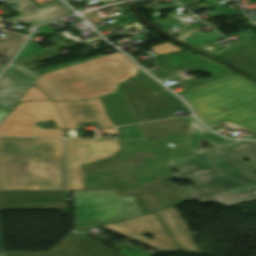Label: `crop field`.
I'll return each instance as SVG.
<instances>
[{
  "label": "crop field",
  "mask_w": 256,
  "mask_h": 256,
  "mask_svg": "<svg viewBox=\"0 0 256 256\" xmlns=\"http://www.w3.org/2000/svg\"><path fill=\"white\" fill-rule=\"evenodd\" d=\"M139 126L145 140H122L125 149L120 154L84 166L87 189L113 188L120 194L130 193L159 177L171 176L167 160L190 153V144L184 149L183 145L171 149L164 144L188 142V117Z\"/></svg>",
  "instance_id": "8a807250"
},
{
  "label": "crop field",
  "mask_w": 256,
  "mask_h": 256,
  "mask_svg": "<svg viewBox=\"0 0 256 256\" xmlns=\"http://www.w3.org/2000/svg\"><path fill=\"white\" fill-rule=\"evenodd\" d=\"M66 190L63 139L0 137V191Z\"/></svg>",
  "instance_id": "ac0d7876"
},
{
  "label": "crop field",
  "mask_w": 256,
  "mask_h": 256,
  "mask_svg": "<svg viewBox=\"0 0 256 256\" xmlns=\"http://www.w3.org/2000/svg\"><path fill=\"white\" fill-rule=\"evenodd\" d=\"M136 66L120 52L42 75L34 84L55 101H77L115 92L135 76Z\"/></svg>",
  "instance_id": "34b2d1b8"
},
{
  "label": "crop field",
  "mask_w": 256,
  "mask_h": 256,
  "mask_svg": "<svg viewBox=\"0 0 256 256\" xmlns=\"http://www.w3.org/2000/svg\"><path fill=\"white\" fill-rule=\"evenodd\" d=\"M182 97L211 129L229 122L256 133V85L236 74L194 89Z\"/></svg>",
  "instance_id": "412701ff"
},
{
  "label": "crop field",
  "mask_w": 256,
  "mask_h": 256,
  "mask_svg": "<svg viewBox=\"0 0 256 256\" xmlns=\"http://www.w3.org/2000/svg\"><path fill=\"white\" fill-rule=\"evenodd\" d=\"M240 142L242 141L224 144L168 161L171 168L182 170L174 173L176 179L188 180L195 184L179 187L185 202L201 201L250 188L221 174L210 161L212 158L226 154L223 150L224 147ZM212 150L217 153L212 154Z\"/></svg>",
  "instance_id": "f4fd0767"
},
{
  "label": "crop field",
  "mask_w": 256,
  "mask_h": 256,
  "mask_svg": "<svg viewBox=\"0 0 256 256\" xmlns=\"http://www.w3.org/2000/svg\"><path fill=\"white\" fill-rule=\"evenodd\" d=\"M117 197L118 200L114 201ZM76 229L125 220L142 213L133 197H120L112 190L72 192ZM97 220L98 223L93 222Z\"/></svg>",
  "instance_id": "dd49c442"
},
{
  "label": "crop field",
  "mask_w": 256,
  "mask_h": 256,
  "mask_svg": "<svg viewBox=\"0 0 256 256\" xmlns=\"http://www.w3.org/2000/svg\"><path fill=\"white\" fill-rule=\"evenodd\" d=\"M120 89L137 122L172 118L171 110L186 108L141 69L136 78L120 84Z\"/></svg>",
  "instance_id": "e52e79f7"
},
{
  "label": "crop field",
  "mask_w": 256,
  "mask_h": 256,
  "mask_svg": "<svg viewBox=\"0 0 256 256\" xmlns=\"http://www.w3.org/2000/svg\"><path fill=\"white\" fill-rule=\"evenodd\" d=\"M52 120L57 127L65 128L53 102H24L7 115L0 124V135L63 137L62 130H43L35 122Z\"/></svg>",
  "instance_id": "d8731c3e"
},
{
  "label": "crop field",
  "mask_w": 256,
  "mask_h": 256,
  "mask_svg": "<svg viewBox=\"0 0 256 256\" xmlns=\"http://www.w3.org/2000/svg\"><path fill=\"white\" fill-rule=\"evenodd\" d=\"M67 164L69 190L84 189L82 164L91 163L118 153V140L68 139Z\"/></svg>",
  "instance_id": "5a996713"
},
{
  "label": "crop field",
  "mask_w": 256,
  "mask_h": 256,
  "mask_svg": "<svg viewBox=\"0 0 256 256\" xmlns=\"http://www.w3.org/2000/svg\"><path fill=\"white\" fill-rule=\"evenodd\" d=\"M107 229L144 243L160 252L179 251L155 213L104 225ZM148 233L154 236L151 240L145 236Z\"/></svg>",
  "instance_id": "3316defc"
},
{
  "label": "crop field",
  "mask_w": 256,
  "mask_h": 256,
  "mask_svg": "<svg viewBox=\"0 0 256 256\" xmlns=\"http://www.w3.org/2000/svg\"><path fill=\"white\" fill-rule=\"evenodd\" d=\"M153 62H155L161 68L160 70L154 69L152 71H149V73L159 79L175 75V73H173L172 71L179 68H190L193 70L203 69L205 73H208L212 76L211 79L195 78L191 80L186 84V87L190 90L233 74L232 71L226 68H223L215 63H212L206 59L190 54L188 52H180L177 54L166 55L159 59L153 60Z\"/></svg>",
  "instance_id": "28ad6ade"
},
{
  "label": "crop field",
  "mask_w": 256,
  "mask_h": 256,
  "mask_svg": "<svg viewBox=\"0 0 256 256\" xmlns=\"http://www.w3.org/2000/svg\"><path fill=\"white\" fill-rule=\"evenodd\" d=\"M230 154L213 160L220 171L248 186L256 187V144L245 142L226 149ZM241 158L252 160L245 163Z\"/></svg>",
  "instance_id": "d1516ede"
},
{
  "label": "crop field",
  "mask_w": 256,
  "mask_h": 256,
  "mask_svg": "<svg viewBox=\"0 0 256 256\" xmlns=\"http://www.w3.org/2000/svg\"><path fill=\"white\" fill-rule=\"evenodd\" d=\"M172 179L173 176L159 178L134 191L144 214L182 205L179 188L169 183Z\"/></svg>",
  "instance_id": "22f410ed"
},
{
  "label": "crop field",
  "mask_w": 256,
  "mask_h": 256,
  "mask_svg": "<svg viewBox=\"0 0 256 256\" xmlns=\"http://www.w3.org/2000/svg\"><path fill=\"white\" fill-rule=\"evenodd\" d=\"M6 256H115L114 250L91 240L86 234H69L51 252H5Z\"/></svg>",
  "instance_id": "cbeb9de0"
},
{
  "label": "crop field",
  "mask_w": 256,
  "mask_h": 256,
  "mask_svg": "<svg viewBox=\"0 0 256 256\" xmlns=\"http://www.w3.org/2000/svg\"><path fill=\"white\" fill-rule=\"evenodd\" d=\"M0 209H66V192H0Z\"/></svg>",
  "instance_id": "5142ce71"
},
{
  "label": "crop field",
  "mask_w": 256,
  "mask_h": 256,
  "mask_svg": "<svg viewBox=\"0 0 256 256\" xmlns=\"http://www.w3.org/2000/svg\"><path fill=\"white\" fill-rule=\"evenodd\" d=\"M40 75L14 64L0 77V107L11 109Z\"/></svg>",
  "instance_id": "d9b57169"
},
{
  "label": "crop field",
  "mask_w": 256,
  "mask_h": 256,
  "mask_svg": "<svg viewBox=\"0 0 256 256\" xmlns=\"http://www.w3.org/2000/svg\"><path fill=\"white\" fill-rule=\"evenodd\" d=\"M54 105L66 128H78V122L99 121L101 127L113 126L108 120L99 98Z\"/></svg>",
  "instance_id": "733c2abd"
},
{
  "label": "crop field",
  "mask_w": 256,
  "mask_h": 256,
  "mask_svg": "<svg viewBox=\"0 0 256 256\" xmlns=\"http://www.w3.org/2000/svg\"><path fill=\"white\" fill-rule=\"evenodd\" d=\"M157 215L176 242L181 252L200 253V250L193 241L191 232L175 210L169 209L157 212Z\"/></svg>",
  "instance_id": "4a817a6b"
},
{
  "label": "crop field",
  "mask_w": 256,
  "mask_h": 256,
  "mask_svg": "<svg viewBox=\"0 0 256 256\" xmlns=\"http://www.w3.org/2000/svg\"><path fill=\"white\" fill-rule=\"evenodd\" d=\"M71 11L65 7L62 3L53 5L40 10L32 11L29 13L21 14L12 18L9 21L19 22V23H29L31 25H37L45 21L53 20L65 15L70 14Z\"/></svg>",
  "instance_id": "bc2a9ffb"
},
{
  "label": "crop field",
  "mask_w": 256,
  "mask_h": 256,
  "mask_svg": "<svg viewBox=\"0 0 256 256\" xmlns=\"http://www.w3.org/2000/svg\"><path fill=\"white\" fill-rule=\"evenodd\" d=\"M102 99L112 121L117 125L136 122L120 89L115 94L103 96Z\"/></svg>",
  "instance_id": "214f88e0"
},
{
  "label": "crop field",
  "mask_w": 256,
  "mask_h": 256,
  "mask_svg": "<svg viewBox=\"0 0 256 256\" xmlns=\"http://www.w3.org/2000/svg\"><path fill=\"white\" fill-rule=\"evenodd\" d=\"M222 57L235 66L256 76V42Z\"/></svg>",
  "instance_id": "92a150f3"
},
{
  "label": "crop field",
  "mask_w": 256,
  "mask_h": 256,
  "mask_svg": "<svg viewBox=\"0 0 256 256\" xmlns=\"http://www.w3.org/2000/svg\"><path fill=\"white\" fill-rule=\"evenodd\" d=\"M204 128L193 117H191V135H190L191 152H196L201 150L200 142L202 140H205L212 146L232 142L231 140H223ZM195 129L198 130L197 133H194Z\"/></svg>",
  "instance_id": "dafd665d"
},
{
  "label": "crop field",
  "mask_w": 256,
  "mask_h": 256,
  "mask_svg": "<svg viewBox=\"0 0 256 256\" xmlns=\"http://www.w3.org/2000/svg\"><path fill=\"white\" fill-rule=\"evenodd\" d=\"M25 36L7 33L5 36L0 37V68L14 56L16 51L23 43Z\"/></svg>",
  "instance_id": "00972430"
},
{
  "label": "crop field",
  "mask_w": 256,
  "mask_h": 256,
  "mask_svg": "<svg viewBox=\"0 0 256 256\" xmlns=\"http://www.w3.org/2000/svg\"><path fill=\"white\" fill-rule=\"evenodd\" d=\"M253 199H256V188L238 192V193H234V194H230V195H226V196H222V197H218V198L201 201V203L215 202V203H219L223 206H228V205H232V204H235L238 202L253 200Z\"/></svg>",
  "instance_id": "a9b5d70f"
},
{
  "label": "crop field",
  "mask_w": 256,
  "mask_h": 256,
  "mask_svg": "<svg viewBox=\"0 0 256 256\" xmlns=\"http://www.w3.org/2000/svg\"><path fill=\"white\" fill-rule=\"evenodd\" d=\"M122 139H144L137 124L120 127Z\"/></svg>",
  "instance_id": "4177f3b9"
},
{
  "label": "crop field",
  "mask_w": 256,
  "mask_h": 256,
  "mask_svg": "<svg viewBox=\"0 0 256 256\" xmlns=\"http://www.w3.org/2000/svg\"><path fill=\"white\" fill-rule=\"evenodd\" d=\"M40 52H43V50L40 47H38L32 40L28 39L25 46L19 53L18 57L16 56L17 58L14 61H16L17 59L38 54Z\"/></svg>",
  "instance_id": "730fd06b"
},
{
  "label": "crop field",
  "mask_w": 256,
  "mask_h": 256,
  "mask_svg": "<svg viewBox=\"0 0 256 256\" xmlns=\"http://www.w3.org/2000/svg\"><path fill=\"white\" fill-rule=\"evenodd\" d=\"M13 3L16 4L18 7L12 8V9L19 14L40 9V7H38L31 0H18V1H14Z\"/></svg>",
  "instance_id": "eef30255"
},
{
  "label": "crop field",
  "mask_w": 256,
  "mask_h": 256,
  "mask_svg": "<svg viewBox=\"0 0 256 256\" xmlns=\"http://www.w3.org/2000/svg\"><path fill=\"white\" fill-rule=\"evenodd\" d=\"M151 49L154 52H156L159 56L162 55V54H165V53L183 50L181 48H178V47L174 46L173 44H171L169 42L151 47Z\"/></svg>",
  "instance_id": "ae1a2a85"
},
{
  "label": "crop field",
  "mask_w": 256,
  "mask_h": 256,
  "mask_svg": "<svg viewBox=\"0 0 256 256\" xmlns=\"http://www.w3.org/2000/svg\"><path fill=\"white\" fill-rule=\"evenodd\" d=\"M37 99H48V98H46L40 91H38L32 85L31 88L26 92V94L21 98L19 102L24 100H37Z\"/></svg>",
  "instance_id": "d3111659"
},
{
  "label": "crop field",
  "mask_w": 256,
  "mask_h": 256,
  "mask_svg": "<svg viewBox=\"0 0 256 256\" xmlns=\"http://www.w3.org/2000/svg\"><path fill=\"white\" fill-rule=\"evenodd\" d=\"M37 29H39L40 32L32 34L30 38L53 31V29H51L47 24L42 25V26L38 27Z\"/></svg>",
  "instance_id": "750c4746"
},
{
  "label": "crop field",
  "mask_w": 256,
  "mask_h": 256,
  "mask_svg": "<svg viewBox=\"0 0 256 256\" xmlns=\"http://www.w3.org/2000/svg\"><path fill=\"white\" fill-rule=\"evenodd\" d=\"M9 112L0 109V122L6 117Z\"/></svg>",
  "instance_id": "bd1437ed"
},
{
  "label": "crop field",
  "mask_w": 256,
  "mask_h": 256,
  "mask_svg": "<svg viewBox=\"0 0 256 256\" xmlns=\"http://www.w3.org/2000/svg\"><path fill=\"white\" fill-rule=\"evenodd\" d=\"M103 131H104V133H112L113 135H116L114 130L106 129V130H103Z\"/></svg>",
  "instance_id": "1d83c4d3"
},
{
  "label": "crop field",
  "mask_w": 256,
  "mask_h": 256,
  "mask_svg": "<svg viewBox=\"0 0 256 256\" xmlns=\"http://www.w3.org/2000/svg\"><path fill=\"white\" fill-rule=\"evenodd\" d=\"M0 256H3V249H2V243H1V235H0Z\"/></svg>",
  "instance_id": "120bbe31"
},
{
  "label": "crop field",
  "mask_w": 256,
  "mask_h": 256,
  "mask_svg": "<svg viewBox=\"0 0 256 256\" xmlns=\"http://www.w3.org/2000/svg\"><path fill=\"white\" fill-rule=\"evenodd\" d=\"M108 3H110V2H113V1H117V0H106Z\"/></svg>",
  "instance_id": "d32e631a"
},
{
  "label": "crop field",
  "mask_w": 256,
  "mask_h": 256,
  "mask_svg": "<svg viewBox=\"0 0 256 256\" xmlns=\"http://www.w3.org/2000/svg\"><path fill=\"white\" fill-rule=\"evenodd\" d=\"M2 69H0V71H1Z\"/></svg>",
  "instance_id": "5866460e"
},
{
  "label": "crop field",
  "mask_w": 256,
  "mask_h": 256,
  "mask_svg": "<svg viewBox=\"0 0 256 256\" xmlns=\"http://www.w3.org/2000/svg\"><path fill=\"white\" fill-rule=\"evenodd\" d=\"M256 143V142H255Z\"/></svg>",
  "instance_id": "028f5c9d"
}]
</instances>
